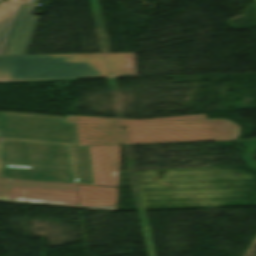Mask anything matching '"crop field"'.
<instances>
[{"label": "crop field", "instance_id": "crop-field-10", "mask_svg": "<svg viewBox=\"0 0 256 256\" xmlns=\"http://www.w3.org/2000/svg\"><path fill=\"white\" fill-rule=\"evenodd\" d=\"M9 184L76 190V185L0 178V195L9 196Z\"/></svg>", "mask_w": 256, "mask_h": 256}, {"label": "crop field", "instance_id": "crop-field-6", "mask_svg": "<svg viewBox=\"0 0 256 256\" xmlns=\"http://www.w3.org/2000/svg\"><path fill=\"white\" fill-rule=\"evenodd\" d=\"M26 3L12 38L7 55H26L39 17L32 16L37 0H7Z\"/></svg>", "mask_w": 256, "mask_h": 256}, {"label": "crop field", "instance_id": "crop-field-1", "mask_svg": "<svg viewBox=\"0 0 256 256\" xmlns=\"http://www.w3.org/2000/svg\"><path fill=\"white\" fill-rule=\"evenodd\" d=\"M66 122L77 124L84 145L234 140L239 134L231 122L204 114L147 120L66 115Z\"/></svg>", "mask_w": 256, "mask_h": 256}, {"label": "crop field", "instance_id": "crop-field-11", "mask_svg": "<svg viewBox=\"0 0 256 256\" xmlns=\"http://www.w3.org/2000/svg\"><path fill=\"white\" fill-rule=\"evenodd\" d=\"M10 191L34 193V194H44V195H54V196H64V197H78L76 191L49 189V188H37V187L10 185Z\"/></svg>", "mask_w": 256, "mask_h": 256}, {"label": "crop field", "instance_id": "crop-field-4", "mask_svg": "<svg viewBox=\"0 0 256 256\" xmlns=\"http://www.w3.org/2000/svg\"><path fill=\"white\" fill-rule=\"evenodd\" d=\"M0 138L79 144L75 124L49 116L0 113Z\"/></svg>", "mask_w": 256, "mask_h": 256}, {"label": "crop field", "instance_id": "crop-field-3", "mask_svg": "<svg viewBox=\"0 0 256 256\" xmlns=\"http://www.w3.org/2000/svg\"><path fill=\"white\" fill-rule=\"evenodd\" d=\"M134 72L133 54L0 56V81L129 77Z\"/></svg>", "mask_w": 256, "mask_h": 256}, {"label": "crop field", "instance_id": "crop-field-2", "mask_svg": "<svg viewBox=\"0 0 256 256\" xmlns=\"http://www.w3.org/2000/svg\"><path fill=\"white\" fill-rule=\"evenodd\" d=\"M0 140V177L95 185L89 146Z\"/></svg>", "mask_w": 256, "mask_h": 256}, {"label": "crop field", "instance_id": "crop-field-5", "mask_svg": "<svg viewBox=\"0 0 256 256\" xmlns=\"http://www.w3.org/2000/svg\"><path fill=\"white\" fill-rule=\"evenodd\" d=\"M96 185L118 187L120 146L90 147Z\"/></svg>", "mask_w": 256, "mask_h": 256}, {"label": "crop field", "instance_id": "crop-field-9", "mask_svg": "<svg viewBox=\"0 0 256 256\" xmlns=\"http://www.w3.org/2000/svg\"><path fill=\"white\" fill-rule=\"evenodd\" d=\"M0 202L40 204L60 207L79 208L78 198H64L10 192V197L0 196Z\"/></svg>", "mask_w": 256, "mask_h": 256}, {"label": "crop field", "instance_id": "crop-field-8", "mask_svg": "<svg viewBox=\"0 0 256 256\" xmlns=\"http://www.w3.org/2000/svg\"><path fill=\"white\" fill-rule=\"evenodd\" d=\"M23 6L0 2V55L7 54Z\"/></svg>", "mask_w": 256, "mask_h": 256}, {"label": "crop field", "instance_id": "crop-field-7", "mask_svg": "<svg viewBox=\"0 0 256 256\" xmlns=\"http://www.w3.org/2000/svg\"><path fill=\"white\" fill-rule=\"evenodd\" d=\"M80 208L116 211L118 189L77 186Z\"/></svg>", "mask_w": 256, "mask_h": 256}]
</instances>
